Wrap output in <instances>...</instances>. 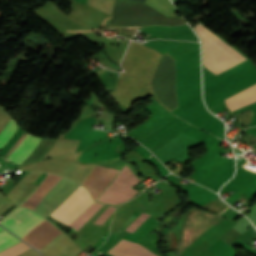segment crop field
Instances as JSON below:
<instances>
[{
  "mask_svg": "<svg viewBox=\"0 0 256 256\" xmlns=\"http://www.w3.org/2000/svg\"><path fill=\"white\" fill-rule=\"evenodd\" d=\"M203 43V65L215 75L246 60L200 23L194 28Z\"/></svg>",
  "mask_w": 256,
  "mask_h": 256,
  "instance_id": "obj_1",
  "label": "crop field"
},
{
  "mask_svg": "<svg viewBox=\"0 0 256 256\" xmlns=\"http://www.w3.org/2000/svg\"><path fill=\"white\" fill-rule=\"evenodd\" d=\"M93 200L83 186H79L53 213L58 221L70 225L79 215H81Z\"/></svg>",
  "mask_w": 256,
  "mask_h": 256,
  "instance_id": "obj_2",
  "label": "crop field"
},
{
  "mask_svg": "<svg viewBox=\"0 0 256 256\" xmlns=\"http://www.w3.org/2000/svg\"><path fill=\"white\" fill-rule=\"evenodd\" d=\"M140 181L133 172L125 165L120 171L108 189L98 199L99 201L119 204L125 200H129L137 192L131 188L133 184Z\"/></svg>",
  "mask_w": 256,
  "mask_h": 256,
  "instance_id": "obj_3",
  "label": "crop field"
},
{
  "mask_svg": "<svg viewBox=\"0 0 256 256\" xmlns=\"http://www.w3.org/2000/svg\"><path fill=\"white\" fill-rule=\"evenodd\" d=\"M44 219L26 208L18 207L2 220L0 224L22 238Z\"/></svg>",
  "mask_w": 256,
  "mask_h": 256,
  "instance_id": "obj_4",
  "label": "crop field"
},
{
  "mask_svg": "<svg viewBox=\"0 0 256 256\" xmlns=\"http://www.w3.org/2000/svg\"><path fill=\"white\" fill-rule=\"evenodd\" d=\"M79 184L62 178L42 199L35 211L45 218L53 212Z\"/></svg>",
  "mask_w": 256,
  "mask_h": 256,
  "instance_id": "obj_5",
  "label": "crop field"
},
{
  "mask_svg": "<svg viewBox=\"0 0 256 256\" xmlns=\"http://www.w3.org/2000/svg\"><path fill=\"white\" fill-rule=\"evenodd\" d=\"M117 173L118 170L95 165L82 185L91 192L95 200L105 190Z\"/></svg>",
  "mask_w": 256,
  "mask_h": 256,
  "instance_id": "obj_6",
  "label": "crop field"
},
{
  "mask_svg": "<svg viewBox=\"0 0 256 256\" xmlns=\"http://www.w3.org/2000/svg\"><path fill=\"white\" fill-rule=\"evenodd\" d=\"M61 232L62 231L45 219L32 229L23 239L40 250Z\"/></svg>",
  "mask_w": 256,
  "mask_h": 256,
  "instance_id": "obj_7",
  "label": "crop field"
},
{
  "mask_svg": "<svg viewBox=\"0 0 256 256\" xmlns=\"http://www.w3.org/2000/svg\"><path fill=\"white\" fill-rule=\"evenodd\" d=\"M113 249H116L118 251L124 252L126 254L132 255V256H156L149 250H147L145 247H143L140 244L130 242L127 240L121 239L114 247ZM109 250L108 252L114 256H129L126 254H123L121 252L115 251V250Z\"/></svg>",
  "mask_w": 256,
  "mask_h": 256,
  "instance_id": "obj_8",
  "label": "crop field"
},
{
  "mask_svg": "<svg viewBox=\"0 0 256 256\" xmlns=\"http://www.w3.org/2000/svg\"><path fill=\"white\" fill-rule=\"evenodd\" d=\"M40 138L27 133L21 144L7 157L16 163H21L37 146Z\"/></svg>",
  "mask_w": 256,
  "mask_h": 256,
  "instance_id": "obj_9",
  "label": "crop field"
},
{
  "mask_svg": "<svg viewBox=\"0 0 256 256\" xmlns=\"http://www.w3.org/2000/svg\"><path fill=\"white\" fill-rule=\"evenodd\" d=\"M256 101V85L226 99L232 111Z\"/></svg>",
  "mask_w": 256,
  "mask_h": 256,
  "instance_id": "obj_10",
  "label": "crop field"
},
{
  "mask_svg": "<svg viewBox=\"0 0 256 256\" xmlns=\"http://www.w3.org/2000/svg\"><path fill=\"white\" fill-rule=\"evenodd\" d=\"M101 204V203H100ZM93 203L77 220L70 226L78 230L102 205Z\"/></svg>",
  "mask_w": 256,
  "mask_h": 256,
  "instance_id": "obj_11",
  "label": "crop field"
},
{
  "mask_svg": "<svg viewBox=\"0 0 256 256\" xmlns=\"http://www.w3.org/2000/svg\"><path fill=\"white\" fill-rule=\"evenodd\" d=\"M19 241L21 240L12 236L10 233L6 232L5 230L0 232V251L14 245Z\"/></svg>",
  "mask_w": 256,
  "mask_h": 256,
  "instance_id": "obj_12",
  "label": "crop field"
},
{
  "mask_svg": "<svg viewBox=\"0 0 256 256\" xmlns=\"http://www.w3.org/2000/svg\"><path fill=\"white\" fill-rule=\"evenodd\" d=\"M17 127V123L11 119L7 126L0 133V148L8 141L11 135L14 133Z\"/></svg>",
  "mask_w": 256,
  "mask_h": 256,
  "instance_id": "obj_13",
  "label": "crop field"
},
{
  "mask_svg": "<svg viewBox=\"0 0 256 256\" xmlns=\"http://www.w3.org/2000/svg\"><path fill=\"white\" fill-rule=\"evenodd\" d=\"M28 248H30V247L21 241L18 244L1 252L0 256H17L18 254L24 252Z\"/></svg>",
  "mask_w": 256,
  "mask_h": 256,
  "instance_id": "obj_14",
  "label": "crop field"
},
{
  "mask_svg": "<svg viewBox=\"0 0 256 256\" xmlns=\"http://www.w3.org/2000/svg\"><path fill=\"white\" fill-rule=\"evenodd\" d=\"M148 217V215L141 214L139 215L132 224L126 229V231H129L133 233Z\"/></svg>",
  "mask_w": 256,
  "mask_h": 256,
  "instance_id": "obj_15",
  "label": "crop field"
},
{
  "mask_svg": "<svg viewBox=\"0 0 256 256\" xmlns=\"http://www.w3.org/2000/svg\"><path fill=\"white\" fill-rule=\"evenodd\" d=\"M115 208L112 206H109L106 211L96 220V224L102 225L103 222L107 219V217L114 212Z\"/></svg>",
  "mask_w": 256,
  "mask_h": 256,
  "instance_id": "obj_16",
  "label": "crop field"
},
{
  "mask_svg": "<svg viewBox=\"0 0 256 256\" xmlns=\"http://www.w3.org/2000/svg\"><path fill=\"white\" fill-rule=\"evenodd\" d=\"M3 228L0 227V230H2Z\"/></svg>",
  "mask_w": 256,
  "mask_h": 256,
  "instance_id": "obj_17",
  "label": "crop field"
}]
</instances>
